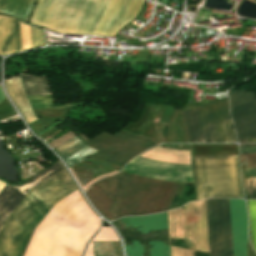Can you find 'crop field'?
I'll return each mask as SVG.
<instances>
[{"mask_svg": "<svg viewBox=\"0 0 256 256\" xmlns=\"http://www.w3.org/2000/svg\"><path fill=\"white\" fill-rule=\"evenodd\" d=\"M145 0H38L30 23L65 33L116 36Z\"/></svg>", "mask_w": 256, "mask_h": 256, "instance_id": "crop-field-1", "label": "crop field"}, {"mask_svg": "<svg viewBox=\"0 0 256 256\" xmlns=\"http://www.w3.org/2000/svg\"><path fill=\"white\" fill-rule=\"evenodd\" d=\"M99 227L98 217L77 190L57 203L38 225L24 256H81Z\"/></svg>", "mask_w": 256, "mask_h": 256, "instance_id": "crop-field-2", "label": "crop field"}, {"mask_svg": "<svg viewBox=\"0 0 256 256\" xmlns=\"http://www.w3.org/2000/svg\"><path fill=\"white\" fill-rule=\"evenodd\" d=\"M178 185L120 172L93 184L85 193L103 216L117 219L168 210Z\"/></svg>", "mask_w": 256, "mask_h": 256, "instance_id": "crop-field-3", "label": "crop field"}, {"mask_svg": "<svg viewBox=\"0 0 256 256\" xmlns=\"http://www.w3.org/2000/svg\"><path fill=\"white\" fill-rule=\"evenodd\" d=\"M75 190L64 169L31 190L2 227L0 256H23L37 225L57 202Z\"/></svg>", "mask_w": 256, "mask_h": 256, "instance_id": "crop-field-4", "label": "crop field"}, {"mask_svg": "<svg viewBox=\"0 0 256 256\" xmlns=\"http://www.w3.org/2000/svg\"><path fill=\"white\" fill-rule=\"evenodd\" d=\"M188 143L235 142L227 98L182 110Z\"/></svg>", "mask_w": 256, "mask_h": 256, "instance_id": "crop-field-5", "label": "crop field"}, {"mask_svg": "<svg viewBox=\"0 0 256 256\" xmlns=\"http://www.w3.org/2000/svg\"><path fill=\"white\" fill-rule=\"evenodd\" d=\"M198 200L242 198L237 156L193 157Z\"/></svg>", "mask_w": 256, "mask_h": 256, "instance_id": "crop-field-6", "label": "crop field"}, {"mask_svg": "<svg viewBox=\"0 0 256 256\" xmlns=\"http://www.w3.org/2000/svg\"><path fill=\"white\" fill-rule=\"evenodd\" d=\"M124 228H137L142 234H149V231L168 228L167 212L161 214L148 215L144 217H126L121 219ZM120 234L124 245H132L131 239H142L143 256H170L168 229L150 232V235H141L136 229H123L119 219ZM148 239L159 240L152 241ZM133 246H124L127 256H142L141 240H132Z\"/></svg>", "mask_w": 256, "mask_h": 256, "instance_id": "crop-field-7", "label": "crop field"}, {"mask_svg": "<svg viewBox=\"0 0 256 256\" xmlns=\"http://www.w3.org/2000/svg\"><path fill=\"white\" fill-rule=\"evenodd\" d=\"M86 143L100 150L94 157L122 165H125L136 155L157 145L152 140L122 131L113 135L104 131Z\"/></svg>", "mask_w": 256, "mask_h": 256, "instance_id": "crop-field-8", "label": "crop field"}, {"mask_svg": "<svg viewBox=\"0 0 256 256\" xmlns=\"http://www.w3.org/2000/svg\"><path fill=\"white\" fill-rule=\"evenodd\" d=\"M206 206L211 256H233L228 199H209Z\"/></svg>", "mask_w": 256, "mask_h": 256, "instance_id": "crop-field-9", "label": "crop field"}, {"mask_svg": "<svg viewBox=\"0 0 256 256\" xmlns=\"http://www.w3.org/2000/svg\"><path fill=\"white\" fill-rule=\"evenodd\" d=\"M233 123L240 143L256 138V93L229 91Z\"/></svg>", "mask_w": 256, "mask_h": 256, "instance_id": "crop-field-10", "label": "crop field"}, {"mask_svg": "<svg viewBox=\"0 0 256 256\" xmlns=\"http://www.w3.org/2000/svg\"><path fill=\"white\" fill-rule=\"evenodd\" d=\"M158 144L186 143L180 110L150 105Z\"/></svg>", "mask_w": 256, "mask_h": 256, "instance_id": "crop-field-11", "label": "crop field"}, {"mask_svg": "<svg viewBox=\"0 0 256 256\" xmlns=\"http://www.w3.org/2000/svg\"><path fill=\"white\" fill-rule=\"evenodd\" d=\"M63 168L58 161L21 186L6 185L5 188L0 192V229L7 217L12 213V211L31 189Z\"/></svg>", "mask_w": 256, "mask_h": 256, "instance_id": "crop-field-12", "label": "crop field"}, {"mask_svg": "<svg viewBox=\"0 0 256 256\" xmlns=\"http://www.w3.org/2000/svg\"><path fill=\"white\" fill-rule=\"evenodd\" d=\"M229 204H230L234 256H243V251H244V256H247L246 248H247L248 236H247V210H246L245 201L239 200L242 239H243V251H242V239H241L238 200L229 199Z\"/></svg>", "mask_w": 256, "mask_h": 256, "instance_id": "crop-field-13", "label": "crop field"}, {"mask_svg": "<svg viewBox=\"0 0 256 256\" xmlns=\"http://www.w3.org/2000/svg\"><path fill=\"white\" fill-rule=\"evenodd\" d=\"M119 240L111 227H102L92 241ZM87 247L84 256H122L119 241L93 242Z\"/></svg>", "mask_w": 256, "mask_h": 256, "instance_id": "crop-field-14", "label": "crop field"}, {"mask_svg": "<svg viewBox=\"0 0 256 256\" xmlns=\"http://www.w3.org/2000/svg\"><path fill=\"white\" fill-rule=\"evenodd\" d=\"M53 150L65 160L69 168L97 151L84 145L76 137Z\"/></svg>", "mask_w": 256, "mask_h": 256, "instance_id": "crop-field-15", "label": "crop field"}, {"mask_svg": "<svg viewBox=\"0 0 256 256\" xmlns=\"http://www.w3.org/2000/svg\"><path fill=\"white\" fill-rule=\"evenodd\" d=\"M6 89L17 105L18 109L28 122V124L38 120L34 117L32 110L27 102L25 94L23 92V85L20 77H14L5 81Z\"/></svg>", "mask_w": 256, "mask_h": 256, "instance_id": "crop-field-16", "label": "crop field"}, {"mask_svg": "<svg viewBox=\"0 0 256 256\" xmlns=\"http://www.w3.org/2000/svg\"><path fill=\"white\" fill-rule=\"evenodd\" d=\"M15 52L12 18L0 15V54Z\"/></svg>", "mask_w": 256, "mask_h": 256, "instance_id": "crop-field-17", "label": "crop field"}, {"mask_svg": "<svg viewBox=\"0 0 256 256\" xmlns=\"http://www.w3.org/2000/svg\"><path fill=\"white\" fill-rule=\"evenodd\" d=\"M35 0H0V12L10 13L28 20Z\"/></svg>", "mask_w": 256, "mask_h": 256, "instance_id": "crop-field-18", "label": "crop field"}, {"mask_svg": "<svg viewBox=\"0 0 256 256\" xmlns=\"http://www.w3.org/2000/svg\"><path fill=\"white\" fill-rule=\"evenodd\" d=\"M27 95L52 94L46 77L21 76Z\"/></svg>", "mask_w": 256, "mask_h": 256, "instance_id": "crop-field-19", "label": "crop field"}, {"mask_svg": "<svg viewBox=\"0 0 256 256\" xmlns=\"http://www.w3.org/2000/svg\"><path fill=\"white\" fill-rule=\"evenodd\" d=\"M193 156H227L237 155L236 145L226 146H192Z\"/></svg>", "mask_w": 256, "mask_h": 256, "instance_id": "crop-field-20", "label": "crop field"}, {"mask_svg": "<svg viewBox=\"0 0 256 256\" xmlns=\"http://www.w3.org/2000/svg\"><path fill=\"white\" fill-rule=\"evenodd\" d=\"M244 190L248 198H256V177H242Z\"/></svg>", "mask_w": 256, "mask_h": 256, "instance_id": "crop-field-21", "label": "crop field"}, {"mask_svg": "<svg viewBox=\"0 0 256 256\" xmlns=\"http://www.w3.org/2000/svg\"><path fill=\"white\" fill-rule=\"evenodd\" d=\"M23 51L31 48L30 26L20 22Z\"/></svg>", "mask_w": 256, "mask_h": 256, "instance_id": "crop-field-22", "label": "crop field"}, {"mask_svg": "<svg viewBox=\"0 0 256 256\" xmlns=\"http://www.w3.org/2000/svg\"><path fill=\"white\" fill-rule=\"evenodd\" d=\"M241 168H256V153L241 154Z\"/></svg>", "mask_w": 256, "mask_h": 256, "instance_id": "crop-field-23", "label": "crop field"}, {"mask_svg": "<svg viewBox=\"0 0 256 256\" xmlns=\"http://www.w3.org/2000/svg\"><path fill=\"white\" fill-rule=\"evenodd\" d=\"M31 41L32 47H38L43 45L42 31L31 26Z\"/></svg>", "mask_w": 256, "mask_h": 256, "instance_id": "crop-field-24", "label": "crop field"}, {"mask_svg": "<svg viewBox=\"0 0 256 256\" xmlns=\"http://www.w3.org/2000/svg\"><path fill=\"white\" fill-rule=\"evenodd\" d=\"M16 52L22 51L20 40L19 21L13 18Z\"/></svg>", "mask_w": 256, "mask_h": 256, "instance_id": "crop-field-25", "label": "crop field"}, {"mask_svg": "<svg viewBox=\"0 0 256 256\" xmlns=\"http://www.w3.org/2000/svg\"><path fill=\"white\" fill-rule=\"evenodd\" d=\"M76 136L75 134H73L71 131L64 134L63 136L55 139L54 141L50 142L49 145H51L53 148L66 142L67 140H69L70 138Z\"/></svg>", "mask_w": 256, "mask_h": 256, "instance_id": "crop-field-26", "label": "crop field"}, {"mask_svg": "<svg viewBox=\"0 0 256 256\" xmlns=\"http://www.w3.org/2000/svg\"><path fill=\"white\" fill-rule=\"evenodd\" d=\"M242 175L256 174V169H241Z\"/></svg>", "mask_w": 256, "mask_h": 256, "instance_id": "crop-field-27", "label": "crop field"}, {"mask_svg": "<svg viewBox=\"0 0 256 256\" xmlns=\"http://www.w3.org/2000/svg\"><path fill=\"white\" fill-rule=\"evenodd\" d=\"M241 153H250V152H256V147H251V148H240Z\"/></svg>", "mask_w": 256, "mask_h": 256, "instance_id": "crop-field-28", "label": "crop field"}, {"mask_svg": "<svg viewBox=\"0 0 256 256\" xmlns=\"http://www.w3.org/2000/svg\"><path fill=\"white\" fill-rule=\"evenodd\" d=\"M200 29L197 28L195 35H191V37H199L201 38V32H199Z\"/></svg>", "mask_w": 256, "mask_h": 256, "instance_id": "crop-field-29", "label": "crop field"}, {"mask_svg": "<svg viewBox=\"0 0 256 256\" xmlns=\"http://www.w3.org/2000/svg\"><path fill=\"white\" fill-rule=\"evenodd\" d=\"M5 97H4V95H3V93H2V90H1V88H0V102L4 99Z\"/></svg>", "mask_w": 256, "mask_h": 256, "instance_id": "crop-field-30", "label": "crop field"}, {"mask_svg": "<svg viewBox=\"0 0 256 256\" xmlns=\"http://www.w3.org/2000/svg\"><path fill=\"white\" fill-rule=\"evenodd\" d=\"M165 148H168V147H165ZM171 149H176V148H171ZM151 150V149H150ZM176 150H185V149H176ZM144 154V153H143ZM142 155V154H141ZM140 155V156H141ZM190 158H191V150H190ZM191 165H192V162H191Z\"/></svg>", "mask_w": 256, "mask_h": 256, "instance_id": "crop-field-31", "label": "crop field"}, {"mask_svg": "<svg viewBox=\"0 0 256 256\" xmlns=\"http://www.w3.org/2000/svg\"><path fill=\"white\" fill-rule=\"evenodd\" d=\"M250 146H256V144H251V145H240V147H250Z\"/></svg>", "mask_w": 256, "mask_h": 256, "instance_id": "crop-field-32", "label": "crop field"}, {"mask_svg": "<svg viewBox=\"0 0 256 256\" xmlns=\"http://www.w3.org/2000/svg\"><path fill=\"white\" fill-rule=\"evenodd\" d=\"M195 30V29H194ZM194 32V31H193Z\"/></svg>", "mask_w": 256, "mask_h": 256, "instance_id": "crop-field-33", "label": "crop field"}]
</instances>
